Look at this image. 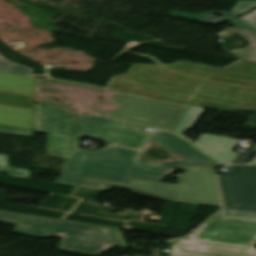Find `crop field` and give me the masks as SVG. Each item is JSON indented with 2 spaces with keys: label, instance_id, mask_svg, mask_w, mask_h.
<instances>
[{
  "label": "crop field",
  "instance_id": "obj_1",
  "mask_svg": "<svg viewBox=\"0 0 256 256\" xmlns=\"http://www.w3.org/2000/svg\"><path fill=\"white\" fill-rule=\"evenodd\" d=\"M34 132L48 134V152L68 158L58 183L76 186L82 175L128 182L130 177L157 181L168 169L191 164H214L170 133L156 130L152 139L189 161L161 165L137 161L142 151L106 145L88 152L79 149V137L116 142L115 145L143 149L152 132L144 127L90 114L73 116L66 109L35 104Z\"/></svg>",
  "mask_w": 256,
  "mask_h": 256
},
{
  "label": "crop field",
  "instance_id": "obj_2",
  "mask_svg": "<svg viewBox=\"0 0 256 256\" xmlns=\"http://www.w3.org/2000/svg\"><path fill=\"white\" fill-rule=\"evenodd\" d=\"M107 90L219 111H256V62L240 60L224 69L191 62L135 65Z\"/></svg>",
  "mask_w": 256,
  "mask_h": 256
},
{
  "label": "crop field",
  "instance_id": "obj_3",
  "mask_svg": "<svg viewBox=\"0 0 256 256\" xmlns=\"http://www.w3.org/2000/svg\"><path fill=\"white\" fill-rule=\"evenodd\" d=\"M187 238L165 242L169 256H256V213L223 208Z\"/></svg>",
  "mask_w": 256,
  "mask_h": 256
},
{
  "label": "crop field",
  "instance_id": "obj_4",
  "mask_svg": "<svg viewBox=\"0 0 256 256\" xmlns=\"http://www.w3.org/2000/svg\"><path fill=\"white\" fill-rule=\"evenodd\" d=\"M0 222L13 224V233L62 238L58 249L98 256L112 246L128 247L120 229L0 211Z\"/></svg>",
  "mask_w": 256,
  "mask_h": 256
},
{
  "label": "crop field",
  "instance_id": "obj_5",
  "mask_svg": "<svg viewBox=\"0 0 256 256\" xmlns=\"http://www.w3.org/2000/svg\"><path fill=\"white\" fill-rule=\"evenodd\" d=\"M177 175L179 185L131 179L129 184L83 177L79 186L109 191L111 187L156 198L221 207L214 165H195Z\"/></svg>",
  "mask_w": 256,
  "mask_h": 256
},
{
  "label": "crop field",
  "instance_id": "obj_6",
  "mask_svg": "<svg viewBox=\"0 0 256 256\" xmlns=\"http://www.w3.org/2000/svg\"><path fill=\"white\" fill-rule=\"evenodd\" d=\"M110 101L120 106L103 116L167 131L171 130L187 108L186 105L121 93H116Z\"/></svg>",
  "mask_w": 256,
  "mask_h": 256
},
{
  "label": "crop field",
  "instance_id": "obj_7",
  "mask_svg": "<svg viewBox=\"0 0 256 256\" xmlns=\"http://www.w3.org/2000/svg\"><path fill=\"white\" fill-rule=\"evenodd\" d=\"M36 78L0 72V124L33 129Z\"/></svg>",
  "mask_w": 256,
  "mask_h": 256
},
{
  "label": "crop field",
  "instance_id": "obj_8",
  "mask_svg": "<svg viewBox=\"0 0 256 256\" xmlns=\"http://www.w3.org/2000/svg\"><path fill=\"white\" fill-rule=\"evenodd\" d=\"M230 173L218 175L224 207L256 212V167L229 166Z\"/></svg>",
  "mask_w": 256,
  "mask_h": 256
},
{
  "label": "crop field",
  "instance_id": "obj_9",
  "mask_svg": "<svg viewBox=\"0 0 256 256\" xmlns=\"http://www.w3.org/2000/svg\"><path fill=\"white\" fill-rule=\"evenodd\" d=\"M256 8V0H239L232 6L228 12L209 11L202 13H187L172 11L171 14L176 17L194 19L202 23L217 24L221 21H231L236 27L247 28L256 31V10L251 11L240 18L237 16ZM215 13L222 14L223 18L213 16Z\"/></svg>",
  "mask_w": 256,
  "mask_h": 256
},
{
  "label": "crop field",
  "instance_id": "obj_10",
  "mask_svg": "<svg viewBox=\"0 0 256 256\" xmlns=\"http://www.w3.org/2000/svg\"><path fill=\"white\" fill-rule=\"evenodd\" d=\"M238 142V140H229L227 138L205 134L201 136L195 144L203 147L228 163L236 154L231 152V150Z\"/></svg>",
  "mask_w": 256,
  "mask_h": 256
},
{
  "label": "crop field",
  "instance_id": "obj_11",
  "mask_svg": "<svg viewBox=\"0 0 256 256\" xmlns=\"http://www.w3.org/2000/svg\"><path fill=\"white\" fill-rule=\"evenodd\" d=\"M235 33H238L245 39L249 40V45L244 49L231 50L230 52L240 59L256 61V32L247 29L230 27L220 34V36L226 38Z\"/></svg>",
  "mask_w": 256,
  "mask_h": 256
},
{
  "label": "crop field",
  "instance_id": "obj_12",
  "mask_svg": "<svg viewBox=\"0 0 256 256\" xmlns=\"http://www.w3.org/2000/svg\"><path fill=\"white\" fill-rule=\"evenodd\" d=\"M0 132L14 133L27 136L33 135V130L4 125H0ZM0 172L13 176L30 178V170L8 167L7 155L4 154H0Z\"/></svg>",
  "mask_w": 256,
  "mask_h": 256
},
{
  "label": "crop field",
  "instance_id": "obj_13",
  "mask_svg": "<svg viewBox=\"0 0 256 256\" xmlns=\"http://www.w3.org/2000/svg\"><path fill=\"white\" fill-rule=\"evenodd\" d=\"M202 111V108L189 106L174 128L173 133L183 134L186 130L193 128Z\"/></svg>",
  "mask_w": 256,
  "mask_h": 256
},
{
  "label": "crop field",
  "instance_id": "obj_14",
  "mask_svg": "<svg viewBox=\"0 0 256 256\" xmlns=\"http://www.w3.org/2000/svg\"><path fill=\"white\" fill-rule=\"evenodd\" d=\"M0 71L34 76L32 75L31 69L18 65L11 61H8L4 59L1 55H0Z\"/></svg>",
  "mask_w": 256,
  "mask_h": 256
},
{
  "label": "crop field",
  "instance_id": "obj_15",
  "mask_svg": "<svg viewBox=\"0 0 256 256\" xmlns=\"http://www.w3.org/2000/svg\"><path fill=\"white\" fill-rule=\"evenodd\" d=\"M254 151L248 150L246 154H238L232 161L231 163H240V164H245L248 163L249 159L253 155Z\"/></svg>",
  "mask_w": 256,
  "mask_h": 256
},
{
  "label": "crop field",
  "instance_id": "obj_16",
  "mask_svg": "<svg viewBox=\"0 0 256 256\" xmlns=\"http://www.w3.org/2000/svg\"><path fill=\"white\" fill-rule=\"evenodd\" d=\"M176 136V135H175ZM179 139H181L182 141H184L185 143H187L188 145L192 146L193 148H195L196 150L200 151L201 153H203L204 155H206L207 157H209L210 159H212L213 161H215L218 164H224L222 162H220L219 160H217L216 158L212 157L211 155L207 154L206 152H204L203 150H201L200 148L196 147L195 145H193L192 143H190L189 141L183 139L180 136H177Z\"/></svg>",
  "mask_w": 256,
  "mask_h": 256
},
{
  "label": "crop field",
  "instance_id": "obj_17",
  "mask_svg": "<svg viewBox=\"0 0 256 256\" xmlns=\"http://www.w3.org/2000/svg\"><path fill=\"white\" fill-rule=\"evenodd\" d=\"M251 164H256V157H255V159L253 160V162Z\"/></svg>",
  "mask_w": 256,
  "mask_h": 256
}]
</instances>
